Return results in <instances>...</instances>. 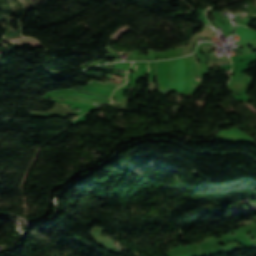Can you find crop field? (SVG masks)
<instances>
[{"label":"crop field","instance_id":"obj_1","mask_svg":"<svg viewBox=\"0 0 256 256\" xmlns=\"http://www.w3.org/2000/svg\"><path fill=\"white\" fill-rule=\"evenodd\" d=\"M138 65H136V69H137Z\"/></svg>","mask_w":256,"mask_h":256}]
</instances>
